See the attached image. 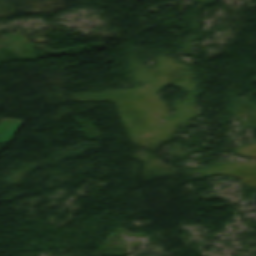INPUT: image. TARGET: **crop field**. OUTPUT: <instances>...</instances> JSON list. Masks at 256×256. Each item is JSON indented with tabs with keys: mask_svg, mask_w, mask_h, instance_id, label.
<instances>
[{
	"mask_svg": "<svg viewBox=\"0 0 256 256\" xmlns=\"http://www.w3.org/2000/svg\"><path fill=\"white\" fill-rule=\"evenodd\" d=\"M20 123V120L2 119L0 122V142L10 141Z\"/></svg>",
	"mask_w": 256,
	"mask_h": 256,
	"instance_id": "1",
	"label": "crop field"
}]
</instances>
